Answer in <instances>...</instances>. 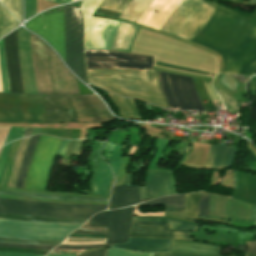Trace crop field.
I'll list each match as a JSON object with an SVG mask.
<instances>
[{
    "instance_id": "35",
    "label": "crop field",
    "mask_w": 256,
    "mask_h": 256,
    "mask_svg": "<svg viewBox=\"0 0 256 256\" xmlns=\"http://www.w3.org/2000/svg\"><path fill=\"white\" fill-rule=\"evenodd\" d=\"M0 194H12V195H20V196H34V197H43V198H51V199L90 200V201H102V202H108V200H109V199H93V198H82V197L53 196V195H42V194H20V193L4 192V191H0Z\"/></svg>"
},
{
    "instance_id": "39",
    "label": "crop field",
    "mask_w": 256,
    "mask_h": 256,
    "mask_svg": "<svg viewBox=\"0 0 256 256\" xmlns=\"http://www.w3.org/2000/svg\"><path fill=\"white\" fill-rule=\"evenodd\" d=\"M219 83L226 87L232 93H234L238 89L240 84V82H238L236 79L228 74H221L219 78Z\"/></svg>"
},
{
    "instance_id": "42",
    "label": "crop field",
    "mask_w": 256,
    "mask_h": 256,
    "mask_svg": "<svg viewBox=\"0 0 256 256\" xmlns=\"http://www.w3.org/2000/svg\"><path fill=\"white\" fill-rule=\"evenodd\" d=\"M0 242L58 245L62 241H34V240H23V239L0 237Z\"/></svg>"
},
{
    "instance_id": "52",
    "label": "crop field",
    "mask_w": 256,
    "mask_h": 256,
    "mask_svg": "<svg viewBox=\"0 0 256 256\" xmlns=\"http://www.w3.org/2000/svg\"><path fill=\"white\" fill-rule=\"evenodd\" d=\"M106 249L95 250L80 256H103Z\"/></svg>"
},
{
    "instance_id": "50",
    "label": "crop field",
    "mask_w": 256,
    "mask_h": 256,
    "mask_svg": "<svg viewBox=\"0 0 256 256\" xmlns=\"http://www.w3.org/2000/svg\"><path fill=\"white\" fill-rule=\"evenodd\" d=\"M10 127H0V147L3 146Z\"/></svg>"
},
{
    "instance_id": "2",
    "label": "crop field",
    "mask_w": 256,
    "mask_h": 256,
    "mask_svg": "<svg viewBox=\"0 0 256 256\" xmlns=\"http://www.w3.org/2000/svg\"><path fill=\"white\" fill-rule=\"evenodd\" d=\"M251 27L256 26L216 9L193 42L216 51L225 61L242 43ZM252 30L224 62L222 72L248 76L256 73V38L251 37Z\"/></svg>"
},
{
    "instance_id": "37",
    "label": "crop field",
    "mask_w": 256,
    "mask_h": 256,
    "mask_svg": "<svg viewBox=\"0 0 256 256\" xmlns=\"http://www.w3.org/2000/svg\"><path fill=\"white\" fill-rule=\"evenodd\" d=\"M0 2L21 22V0H0Z\"/></svg>"
},
{
    "instance_id": "46",
    "label": "crop field",
    "mask_w": 256,
    "mask_h": 256,
    "mask_svg": "<svg viewBox=\"0 0 256 256\" xmlns=\"http://www.w3.org/2000/svg\"><path fill=\"white\" fill-rule=\"evenodd\" d=\"M95 240H106V239H95V238H67L66 241H95ZM106 241H95V242H63L62 244H94V243H105Z\"/></svg>"
},
{
    "instance_id": "3",
    "label": "crop field",
    "mask_w": 256,
    "mask_h": 256,
    "mask_svg": "<svg viewBox=\"0 0 256 256\" xmlns=\"http://www.w3.org/2000/svg\"><path fill=\"white\" fill-rule=\"evenodd\" d=\"M87 74L91 84L111 93L168 107L154 70L147 69V74L133 71L87 70Z\"/></svg>"
},
{
    "instance_id": "62",
    "label": "crop field",
    "mask_w": 256,
    "mask_h": 256,
    "mask_svg": "<svg viewBox=\"0 0 256 256\" xmlns=\"http://www.w3.org/2000/svg\"><path fill=\"white\" fill-rule=\"evenodd\" d=\"M72 0H63V3L62 4H64V3H68V2H71Z\"/></svg>"
},
{
    "instance_id": "20",
    "label": "crop field",
    "mask_w": 256,
    "mask_h": 256,
    "mask_svg": "<svg viewBox=\"0 0 256 256\" xmlns=\"http://www.w3.org/2000/svg\"><path fill=\"white\" fill-rule=\"evenodd\" d=\"M137 186L114 187L109 209L138 204Z\"/></svg>"
},
{
    "instance_id": "65",
    "label": "crop field",
    "mask_w": 256,
    "mask_h": 256,
    "mask_svg": "<svg viewBox=\"0 0 256 256\" xmlns=\"http://www.w3.org/2000/svg\"><path fill=\"white\" fill-rule=\"evenodd\" d=\"M50 1H53V2H54V0H50Z\"/></svg>"
},
{
    "instance_id": "30",
    "label": "crop field",
    "mask_w": 256,
    "mask_h": 256,
    "mask_svg": "<svg viewBox=\"0 0 256 256\" xmlns=\"http://www.w3.org/2000/svg\"><path fill=\"white\" fill-rule=\"evenodd\" d=\"M29 138L30 137L24 138L21 140L18 154H17L16 160H15V164H14L11 176H10V180L8 179L9 183H8L7 187L14 188V186H15V182H16V179H17V176L19 173V169H20V165H21V161H22V157L25 152L26 146L28 144Z\"/></svg>"
},
{
    "instance_id": "61",
    "label": "crop field",
    "mask_w": 256,
    "mask_h": 256,
    "mask_svg": "<svg viewBox=\"0 0 256 256\" xmlns=\"http://www.w3.org/2000/svg\"><path fill=\"white\" fill-rule=\"evenodd\" d=\"M252 36L256 37V29L255 28L253 30V35Z\"/></svg>"
},
{
    "instance_id": "13",
    "label": "crop field",
    "mask_w": 256,
    "mask_h": 256,
    "mask_svg": "<svg viewBox=\"0 0 256 256\" xmlns=\"http://www.w3.org/2000/svg\"><path fill=\"white\" fill-rule=\"evenodd\" d=\"M52 45L66 62L64 46L63 6L44 12L25 25Z\"/></svg>"
},
{
    "instance_id": "48",
    "label": "crop field",
    "mask_w": 256,
    "mask_h": 256,
    "mask_svg": "<svg viewBox=\"0 0 256 256\" xmlns=\"http://www.w3.org/2000/svg\"><path fill=\"white\" fill-rule=\"evenodd\" d=\"M0 246H16V247H26V248H39V249H52L55 246L48 245H27V244H13V243H0Z\"/></svg>"
},
{
    "instance_id": "45",
    "label": "crop field",
    "mask_w": 256,
    "mask_h": 256,
    "mask_svg": "<svg viewBox=\"0 0 256 256\" xmlns=\"http://www.w3.org/2000/svg\"><path fill=\"white\" fill-rule=\"evenodd\" d=\"M23 133L24 128L12 127L8 134L5 144L15 139L22 138Z\"/></svg>"
},
{
    "instance_id": "14",
    "label": "crop field",
    "mask_w": 256,
    "mask_h": 256,
    "mask_svg": "<svg viewBox=\"0 0 256 256\" xmlns=\"http://www.w3.org/2000/svg\"><path fill=\"white\" fill-rule=\"evenodd\" d=\"M164 74H166L168 85L180 107V110H204L195 92L191 77L170 73Z\"/></svg>"
},
{
    "instance_id": "47",
    "label": "crop field",
    "mask_w": 256,
    "mask_h": 256,
    "mask_svg": "<svg viewBox=\"0 0 256 256\" xmlns=\"http://www.w3.org/2000/svg\"><path fill=\"white\" fill-rule=\"evenodd\" d=\"M109 244H95V245H59L56 248H66V249H88L96 247H109Z\"/></svg>"
},
{
    "instance_id": "15",
    "label": "crop field",
    "mask_w": 256,
    "mask_h": 256,
    "mask_svg": "<svg viewBox=\"0 0 256 256\" xmlns=\"http://www.w3.org/2000/svg\"><path fill=\"white\" fill-rule=\"evenodd\" d=\"M4 43L10 92L23 93L17 52V30L4 37Z\"/></svg>"
},
{
    "instance_id": "64",
    "label": "crop field",
    "mask_w": 256,
    "mask_h": 256,
    "mask_svg": "<svg viewBox=\"0 0 256 256\" xmlns=\"http://www.w3.org/2000/svg\"><path fill=\"white\" fill-rule=\"evenodd\" d=\"M246 256H253V255L246 254Z\"/></svg>"
},
{
    "instance_id": "40",
    "label": "crop field",
    "mask_w": 256,
    "mask_h": 256,
    "mask_svg": "<svg viewBox=\"0 0 256 256\" xmlns=\"http://www.w3.org/2000/svg\"><path fill=\"white\" fill-rule=\"evenodd\" d=\"M153 253L129 251L122 249H108L106 256H152Z\"/></svg>"
},
{
    "instance_id": "67",
    "label": "crop field",
    "mask_w": 256,
    "mask_h": 256,
    "mask_svg": "<svg viewBox=\"0 0 256 256\" xmlns=\"http://www.w3.org/2000/svg\"><path fill=\"white\" fill-rule=\"evenodd\" d=\"M73 1H76V0H73Z\"/></svg>"
},
{
    "instance_id": "6",
    "label": "crop field",
    "mask_w": 256,
    "mask_h": 256,
    "mask_svg": "<svg viewBox=\"0 0 256 256\" xmlns=\"http://www.w3.org/2000/svg\"><path fill=\"white\" fill-rule=\"evenodd\" d=\"M106 208L107 206L50 204L0 199V213L5 214L89 219L94 213Z\"/></svg>"
},
{
    "instance_id": "10",
    "label": "crop field",
    "mask_w": 256,
    "mask_h": 256,
    "mask_svg": "<svg viewBox=\"0 0 256 256\" xmlns=\"http://www.w3.org/2000/svg\"><path fill=\"white\" fill-rule=\"evenodd\" d=\"M67 66L87 83L82 53V19L78 8L64 6Z\"/></svg>"
},
{
    "instance_id": "51",
    "label": "crop field",
    "mask_w": 256,
    "mask_h": 256,
    "mask_svg": "<svg viewBox=\"0 0 256 256\" xmlns=\"http://www.w3.org/2000/svg\"><path fill=\"white\" fill-rule=\"evenodd\" d=\"M0 256H44L41 254H29V253H6L0 252Z\"/></svg>"
},
{
    "instance_id": "12",
    "label": "crop field",
    "mask_w": 256,
    "mask_h": 256,
    "mask_svg": "<svg viewBox=\"0 0 256 256\" xmlns=\"http://www.w3.org/2000/svg\"><path fill=\"white\" fill-rule=\"evenodd\" d=\"M87 68L132 69L146 72L152 69V58L139 55L103 51L84 50Z\"/></svg>"
},
{
    "instance_id": "55",
    "label": "crop field",
    "mask_w": 256,
    "mask_h": 256,
    "mask_svg": "<svg viewBox=\"0 0 256 256\" xmlns=\"http://www.w3.org/2000/svg\"><path fill=\"white\" fill-rule=\"evenodd\" d=\"M68 142L69 141L63 140V142L61 144V147H60V150H59V153H58L59 155L64 156V153H65V150L67 148Z\"/></svg>"
},
{
    "instance_id": "59",
    "label": "crop field",
    "mask_w": 256,
    "mask_h": 256,
    "mask_svg": "<svg viewBox=\"0 0 256 256\" xmlns=\"http://www.w3.org/2000/svg\"><path fill=\"white\" fill-rule=\"evenodd\" d=\"M31 129H32V128H26V131H25L24 137H25V136H29V135H30V133H31Z\"/></svg>"
},
{
    "instance_id": "53",
    "label": "crop field",
    "mask_w": 256,
    "mask_h": 256,
    "mask_svg": "<svg viewBox=\"0 0 256 256\" xmlns=\"http://www.w3.org/2000/svg\"><path fill=\"white\" fill-rule=\"evenodd\" d=\"M248 246V253L256 254V242H246Z\"/></svg>"
},
{
    "instance_id": "28",
    "label": "crop field",
    "mask_w": 256,
    "mask_h": 256,
    "mask_svg": "<svg viewBox=\"0 0 256 256\" xmlns=\"http://www.w3.org/2000/svg\"><path fill=\"white\" fill-rule=\"evenodd\" d=\"M166 204V210H179L183 209L184 195L162 197L148 202L141 203L139 206H152Z\"/></svg>"
},
{
    "instance_id": "34",
    "label": "crop field",
    "mask_w": 256,
    "mask_h": 256,
    "mask_svg": "<svg viewBox=\"0 0 256 256\" xmlns=\"http://www.w3.org/2000/svg\"><path fill=\"white\" fill-rule=\"evenodd\" d=\"M130 1L131 0H103L99 7L122 13Z\"/></svg>"
},
{
    "instance_id": "16",
    "label": "crop field",
    "mask_w": 256,
    "mask_h": 256,
    "mask_svg": "<svg viewBox=\"0 0 256 256\" xmlns=\"http://www.w3.org/2000/svg\"><path fill=\"white\" fill-rule=\"evenodd\" d=\"M130 237L192 240L189 238V232L169 230L167 225L136 221L132 222Z\"/></svg>"
},
{
    "instance_id": "54",
    "label": "crop field",
    "mask_w": 256,
    "mask_h": 256,
    "mask_svg": "<svg viewBox=\"0 0 256 256\" xmlns=\"http://www.w3.org/2000/svg\"><path fill=\"white\" fill-rule=\"evenodd\" d=\"M84 142L85 141H78L77 142V145H76V148H75V151H74V154L73 155H77V154H80L81 153V150H82V147L84 145Z\"/></svg>"
},
{
    "instance_id": "63",
    "label": "crop field",
    "mask_w": 256,
    "mask_h": 256,
    "mask_svg": "<svg viewBox=\"0 0 256 256\" xmlns=\"http://www.w3.org/2000/svg\"><path fill=\"white\" fill-rule=\"evenodd\" d=\"M56 3H59V0H55Z\"/></svg>"
},
{
    "instance_id": "8",
    "label": "crop field",
    "mask_w": 256,
    "mask_h": 256,
    "mask_svg": "<svg viewBox=\"0 0 256 256\" xmlns=\"http://www.w3.org/2000/svg\"><path fill=\"white\" fill-rule=\"evenodd\" d=\"M102 0H83L81 13L84 21V49L109 50L120 22L91 17Z\"/></svg>"
},
{
    "instance_id": "32",
    "label": "crop field",
    "mask_w": 256,
    "mask_h": 256,
    "mask_svg": "<svg viewBox=\"0 0 256 256\" xmlns=\"http://www.w3.org/2000/svg\"><path fill=\"white\" fill-rule=\"evenodd\" d=\"M0 73L2 79L3 92H9V82L6 71L5 53L3 39L0 40Z\"/></svg>"
},
{
    "instance_id": "36",
    "label": "crop field",
    "mask_w": 256,
    "mask_h": 256,
    "mask_svg": "<svg viewBox=\"0 0 256 256\" xmlns=\"http://www.w3.org/2000/svg\"><path fill=\"white\" fill-rule=\"evenodd\" d=\"M127 28H128V25L127 24H124V23H121L117 32H116V35L112 41V45H111V49L110 50H115V51H119L120 50V47L122 45V42H123V39H124V36H125V33L127 31Z\"/></svg>"
},
{
    "instance_id": "1",
    "label": "crop field",
    "mask_w": 256,
    "mask_h": 256,
    "mask_svg": "<svg viewBox=\"0 0 256 256\" xmlns=\"http://www.w3.org/2000/svg\"><path fill=\"white\" fill-rule=\"evenodd\" d=\"M45 95L19 94V98L44 99ZM44 100L18 99L0 93V122H41ZM113 120L95 95H46L42 122L104 123Z\"/></svg>"
},
{
    "instance_id": "56",
    "label": "crop field",
    "mask_w": 256,
    "mask_h": 256,
    "mask_svg": "<svg viewBox=\"0 0 256 256\" xmlns=\"http://www.w3.org/2000/svg\"><path fill=\"white\" fill-rule=\"evenodd\" d=\"M79 229H82V230H93V231H103V232H106V228H89V227H81Z\"/></svg>"
},
{
    "instance_id": "9",
    "label": "crop field",
    "mask_w": 256,
    "mask_h": 256,
    "mask_svg": "<svg viewBox=\"0 0 256 256\" xmlns=\"http://www.w3.org/2000/svg\"><path fill=\"white\" fill-rule=\"evenodd\" d=\"M62 140L41 135L31 159L24 188L46 190Z\"/></svg>"
},
{
    "instance_id": "58",
    "label": "crop field",
    "mask_w": 256,
    "mask_h": 256,
    "mask_svg": "<svg viewBox=\"0 0 256 256\" xmlns=\"http://www.w3.org/2000/svg\"><path fill=\"white\" fill-rule=\"evenodd\" d=\"M78 254H60V255H47V256H75Z\"/></svg>"
},
{
    "instance_id": "66",
    "label": "crop field",
    "mask_w": 256,
    "mask_h": 256,
    "mask_svg": "<svg viewBox=\"0 0 256 256\" xmlns=\"http://www.w3.org/2000/svg\"><path fill=\"white\" fill-rule=\"evenodd\" d=\"M2 149V148H1ZM1 149H0V152H1Z\"/></svg>"
},
{
    "instance_id": "49",
    "label": "crop field",
    "mask_w": 256,
    "mask_h": 256,
    "mask_svg": "<svg viewBox=\"0 0 256 256\" xmlns=\"http://www.w3.org/2000/svg\"><path fill=\"white\" fill-rule=\"evenodd\" d=\"M11 143L5 145L2 149L1 154H0V175L2 173V170H3V167H4V164H5V161H6Z\"/></svg>"
},
{
    "instance_id": "18",
    "label": "crop field",
    "mask_w": 256,
    "mask_h": 256,
    "mask_svg": "<svg viewBox=\"0 0 256 256\" xmlns=\"http://www.w3.org/2000/svg\"><path fill=\"white\" fill-rule=\"evenodd\" d=\"M235 151V147L211 145L204 169L215 170L232 167Z\"/></svg>"
},
{
    "instance_id": "25",
    "label": "crop field",
    "mask_w": 256,
    "mask_h": 256,
    "mask_svg": "<svg viewBox=\"0 0 256 256\" xmlns=\"http://www.w3.org/2000/svg\"><path fill=\"white\" fill-rule=\"evenodd\" d=\"M132 220L169 224L171 229H178V230L195 231L200 227L199 225L167 219V218H161V217H140V218H133Z\"/></svg>"
},
{
    "instance_id": "4",
    "label": "crop field",
    "mask_w": 256,
    "mask_h": 256,
    "mask_svg": "<svg viewBox=\"0 0 256 256\" xmlns=\"http://www.w3.org/2000/svg\"><path fill=\"white\" fill-rule=\"evenodd\" d=\"M31 50L38 94H80L74 77L57 55L33 35Z\"/></svg>"
},
{
    "instance_id": "23",
    "label": "crop field",
    "mask_w": 256,
    "mask_h": 256,
    "mask_svg": "<svg viewBox=\"0 0 256 256\" xmlns=\"http://www.w3.org/2000/svg\"><path fill=\"white\" fill-rule=\"evenodd\" d=\"M110 177H111V171L108 165L104 160L100 159L92 193L106 194Z\"/></svg>"
},
{
    "instance_id": "5",
    "label": "crop field",
    "mask_w": 256,
    "mask_h": 256,
    "mask_svg": "<svg viewBox=\"0 0 256 256\" xmlns=\"http://www.w3.org/2000/svg\"><path fill=\"white\" fill-rule=\"evenodd\" d=\"M214 11L215 8L203 0H183L168 17L161 31L191 41Z\"/></svg>"
},
{
    "instance_id": "38",
    "label": "crop field",
    "mask_w": 256,
    "mask_h": 256,
    "mask_svg": "<svg viewBox=\"0 0 256 256\" xmlns=\"http://www.w3.org/2000/svg\"><path fill=\"white\" fill-rule=\"evenodd\" d=\"M158 75H159V81H160L162 91L165 95V98L168 102L169 107L178 108V106H177V104H176V102H175V100H174V98H173V96H172V94H171V92L168 88L165 75L159 74V73H158Z\"/></svg>"
},
{
    "instance_id": "22",
    "label": "crop field",
    "mask_w": 256,
    "mask_h": 256,
    "mask_svg": "<svg viewBox=\"0 0 256 256\" xmlns=\"http://www.w3.org/2000/svg\"><path fill=\"white\" fill-rule=\"evenodd\" d=\"M110 97L118 115L125 119L143 120L134 100L116 97L107 93Z\"/></svg>"
},
{
    "instance_id": "7",
    "label": "crop field",
    "mask_w": 256,
    "mask_h": 256,
    "mask_svg": "<svg viewBox=\"0 0 256 256\" xmlns=\"http://www.w3.org/2000/svg\"><path fill=\"white\" fill-rule=\"evenodd\" d=\"M82 224H63L0 219V236L35 240H63Z\"/></svg>"
},
{
    "instance_id": "21",
    "label": "crop field",
    "mask_w": 256,
    "mask_h": 256,
    "mask_svg": "<svg viewBox=\"0 0 256 256\" xmlns=\"http://www.w3.org/2000/svg\"><path fill=\"white\" fill-rule=\"evenodd\" d=\"M171 251L220 256L221 247L199 242L171 240Z\"/></svg>"
},
{
    "instance_id": "11",
    "label": "crop field",
    "mask_w": 256,
    "mask_h": 256,
    "mask_svg": "<svg viewBox=\"0 0 256 256\" xmlns=\"http://www.w3.org/2000/svg\"><path fill=\"white\" fill-rule=\"evenodd\" d=\"M134 208H123L100 212L84 226L107 227V233L76 230L73 233L107 235V243H122L128 240L130 219Z\"/></svg>"
},
{
    "instance_id": "57",
    "label": "crop field",
    "mask_w": 256,
    "mask_h": 256,
    "mask_svg": "<svg viewBox=\"0 0 256 256\" xmlns=\"http://www.w3.org/2000/svg\"><path fill=\"white\" fill-rule=\"evenodd\" d=\"M170 252L155 253L154 256H169Z\"/></svg>"
},
{
    "instance_id": "44",
    "label": "crop field",
    "mask_w": 256,
    "mask_h": 256,
    "mask_svg": "<svg viewBox=\"0 0 256 256\" xmlns=\"http://www.w3.org/2000/svg\"><path fill=\"white\" fill-rule=\"evenodd\" d=\"M36 14V0H25V20Z\"/></svg>"
},
{
    "instance_id": "27",
    "label": "crop field",
    "mask_w": 256,
    "mask_h": 256,
    "mask_svg": "<svg viewBox=\"0 0 256 256\" xmlns=\"http://www.w3.org/2000/svg\"><path fill=\"white\" fill-rule=\"evenodd\" d=\"M151 0H132L120 16L121 19L135 22Z\"/></svg>"
},
{
    "instance_id": "41",
    "label": "crop field",
    "mask_w": 256,
    "mask_h": 256,
    "mask_svg": "<svg viewBox=\"0 0 256 256\" xmlns=\"http://www.w3.org/2000/svg\"><path fill=\"white\" fill-rule=\"evenodd\" d=\"M122 154L123 152L121 151V147L115 145L110 160L108 162L115 175L117 173Z\"/></svg>"
},
{
    "instance_id": "43",
    "label": "crop field",
    "mask_w": 256,
    "mask_h": 256,
    "mask_svg": "<svg viewBox=\"0 0 256 256\" xmlns=\"http://www.w3.org/2000/svg\"><path fill=\"white\" fill-rule=\"evenodd\" d=\"M208 199H209V195L200 194V201H199V208H198L199 216H208Z\"/></svg>"
},
{
    "instance_id": "24",
    "label": "crop field",
    "mask_w": 256,
    "mask_h": 256,
    "mask_svg": "<svg viewBox=\"0 0 256 256\" xmlns=\"http://www.w3.org/2000/svg\"><path fill=\"white\" fill-rule=\"evenodd\" d=\"M198 197H199V193L185 194V217L199 219V220H205V221L218 222V223H223V224H228V225L231 224L230 221L213 219V218L196 217L197 206H198Z\"/></svg>"
},
{
    "instance_id": "60",
    "label": "crop field",
    "mask_w": 256,
    "mask_h": 256,
    "mask_svg": "<svg viewBox=\"0 0 256 256\" xmlns=\"http://www.w3.org/2000/svg\"><path fill=\"white\" fill-rule=\"evenodd\" d=\"M254 215H255V224H254V227H256V206H254Z\"/></svg>"
},
{
    "instance_id": "31",
    "label": "crop field",
    "mask_w": 256,
    "mask_h": 256,
    "mask_svg": "<svg viewBox=\"0 0 256 256\" xmlns=\"http://www.w3.org/2000/svg\"><path fill=\"white\" fill-rule=\"evenodd\" d=\"M0 218H11L19 220H31V221H46V222H64V223H84L87 220H73V219H52L30 216H17V215H4L0 214Z\"/></svg>"
},
{
    "instance_id": "17",
    "label": "crop field",
    "mask_w": 256,
    "mask_h": 256,
    "mask_svg": "<svg viewBox=\"0 0 256 256\" xmlns=\"http://www.w3.org/2000/svg\"><path fill=\"white\" fill-rule=\"evenodd\" d=\"M19 30H24V29L18 28V51H19ZM20 51H21V61H22V68H23L26 90H28L27 84L29 80V85H28L29 91H25V86H24V93L37 94V88H36V83L34 79L32 60H31L30 33H28L25 30H24V51H25V61H26V67H27L28 80H27L26 67H25V61H24V52H23V31H20ZM19 61H20V52H19ZM20 68H21V62H20ZM22 68H21V74H22ZM23 74H22V79H23ZM24 80H23V85H24Z\"/></svg>"
},
{
    "instance_id": "26",
    "label": "crop field",
    "mask_w": 256,
    "mask_h": 256,
    "mask_svg": "<svg viewBox=\"0 0 256 256\" xmlns=\"http://www.w3.org/2000/svg\"><path fill=\"white\" fill-rule=\"evenodd\" d=\"M40 135H36V136H32L30 138V142L29 145L27 147V150L25 152L24 158H23V162H22V166H21V170L18 176V180H17V184L15 188H22L25 178H26V174H27V170L29 167V163H30V159L34 150V147L37 143V140L39 138Z\"/></svg>"
},
{
    "instance_id": "29",
    "label": "crop field",
    "mask_w": 256,
    "mask_h": 256,
    "mask_svg": "<svg viewBox=\"0 0 256 256\" xmlns=\"http://www.w3.org/2000/svg\"><path fill=\"white\" fill-rule=\"evenodd\" d=\"M18 26L14 17L0 4V37Z\"/></svg>"
},
{
    "instance_id": "19",
    "label": "crop field",
    "mask_w": 256,
    "mask_h": 256,
    "mask_svg": "<svg viewBox=\"0 0 256 256\" xmlns=\"http://www.w3.org/2000/svg\"><path fill=\"white\" fill-rule=\"evenodd\" d=\"M110 247L132 249L137 251H169L170 240L129 238L128 243L115 244Z\"/></svg>"
},
{
    "instance_id": "33",
    "label": "crop field",
    "mask_w": 256,
    "mask_h": 256,
    "mask_svg": "<svg viewBox=\"0 0 256 256\" xmlns=\"http://www.w3.org/2000/svg\"><path fill=\"white\" fill-rule=\"evenodd\" d=\"M169 142L170 141H168V140H160V139L156 140L155 146H156L157 150H156L147 170H155L156 169V167L158 166V164L161 160L162 153Z\"/></svg>"
}]
</instances>
